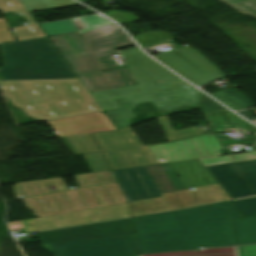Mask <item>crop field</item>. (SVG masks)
<instances>
[{"label":"crop field","mask_w":256,"mask_h":256,"mask_svg":"<svg viewBox=\"0 0 256 256\" xmlns=\"http://www.w3.org/2000/svg\"><path fill=\"white\" fill-rule=\"evenodd\" d=\"M230 202L134 218L139 254L236 245Z\"/></svg>","instance_id":"1"},{"label":"crop field","mask_w":256,"mask_h":256,"mask_svg":"<svg viewBox=\"0 0 256 256\" xmlns=\"http://www.w3.org/2000/svg\"><path fill=\"white\" fill-rule=\"evenodd\" d=\"M80 34L85 41L78 32L51 36L50 39L90 92L137 83L129 69L100 71L120 67L109 55L118 53L119 48L134 45L116 24Z\"/></svg>","instance_id":"2"},{"label":"crop field","mask_w":256,"mask_h":256,"mask_svg":"<svg viewBox=\"0 0 256 256\" xmlns=\"http://www.w3.org/2000/svg\"><path fill=\"white\" fill-rule=\"evenodd\" d=\"M15 107L40 121L102 111L78 79L0 81Z\"/></svg>","instance_id":"3"},{"label":"crop field","mask_w":256,"mask_h":256,"mask_svg":"<svg viewBox=\"0 0 256 256\" xmlns=\"http://www.w3.org/2000/svg\"><path fill=\"white\" fill-rule=\"evenodd\" d=\"M54 256H121L137 254L130 219L37 234Z\"/></svg>","instance_id":"4"},{"label":"crop field","mask_w":256,"mask_h":256,"mask_svg":"<svg viewBox=\"0 0 256 256\" xmlns=\"http://www.w3.org/2000/svg\"><path fill=\"white\" fill-rule=\"evenodd\" d=\"M15 41L0 18V80L77 78L48 38Z\"/></svg>","instance_id":"5"},{"label":"crop field","mask_w":256,"mask_h":256,"mask_svg":"<svg viewBox=\"0 0 256 256\" xmlns=\"http://www.w3.org/2000/svg\"><path fill=\"white\" fill-rule=\"evenodd\" d=\"M112 170L156 164L149 147H144L130 127L93 134ZM72 155L82 153L92 172L109 170L91 134L60 138Z\"/></svg>","instance_id":"6"},{"label":"crop field","mask_w":256,"mask_h":256,"mask_svg":"<svg viewBox=\"0 0 256 256\" xmlns=\"http://www.w3.org/2000/svg\"><path fill=\"white\" fill-rule=\"evenodd\" d=\"M147 168L163 197L130 203L133 216L197 205L190 189H185L176 176L171 163L151 165ZM195 188L193 192L201 205L230 199L219 184Z\"/></svg>","instance_id":"7"},{"label":"crop field","mask_w":256,"mask_h":256,"mask_svg":"<svg viewBox=\"0 0 256 256\" xmlns=\"http://www.w3.org/2000/svg\"><path fill=\"white\" fill-rule=\"evenodd\" d=\"M121 52L138 85L92 92L93 97L104 110L119 107L112 100L114 97L158 91L187 84L150 59L137 47Z\"/></svg>","instance_id":"8"},{"label":"crop field","mask_w":256,"mask_h":256,"mask_svg":"<svg viewBox=\"0 0 256 256\" xmlns=\"http://www.w3.org/2000/svg\"><path fill=\"white\" fill-rule=\"evenodd\" d=\"M172 37L173 36L167 32L159 31L135 36L134 38L144 48L160 43L172 45ZM172 47L174 48L173 50L167 51L162 55H156L155 57L197 86H201L219 77H224V75L196 49L190 46L181 48L175 45Z\"/></svg>","instance_id":"9"},{"label":"crop field","mask_w":256,"mask_h":256,"mask_svg":"<svg viewBox=\"0 0 256 256\" xmlns=\"http://www.w3.org/2000/svg\"><path fill=\"white\" fill-rule=\"evenodd\" d=\"M149 147L157 164L198 158L206 167L256 158V152L217 157L222 148L215 135H201L170 144Z\"/></svg>","instance_id":"10"},{"label":"crop field","mask_w":256,"mask_h":256,"mask_svg":"<svg viewBox=\"0 0 256 256\" xmlns=\"http://www.w3.org/2000/svg\"><path fill=\"white\" fill-rule=\"evenodd\" d=\"M200 92L186 85L164 91L146 93L134 96L114 98L121 107L107 110L106 113L118 129L128 127L129 118L135 117L131 110L138 104L150 101L161 115L177 110L195 108L199 106Z\"/></svg>","instance_id":"11"},{"label":"crop field","mask_w":256,"mask_h":256,"mask_svg":"<svg viewBox=\"0 0 256 256\" xmlns=\"http://www.w3.org/2000/svg\"><path fill=\"white\" fill-rule=\"evenodd\" d=\"M128 203L100 207L40 218H34L19 222L8 223L11 229L23 228L25 233L33 231H45L82 224L102 222L129 217ZM32 226H29V225Z\"/></svg>","instance_id":"12"},{"label":"crop field","mask_w":256,"mask_h":256,"mask_svg":"<svg viewBox=\"0 0 256 256\" xmlns=\"http://www.w3.org/2000/svg\"><path fill=\"white\" fill-rule=\"evenodd\" d=\"M130 202L162 196L146 166L113 171Z\"/></svg>","instance_id":"13"},{"label":"crop field","mask_w":256,"mask_h":256,"mask_svg":"<svg viewBox=\"0 0 256 256\" xmlns=\"http://www.w3.org/2000/svg\"><path fill=\"white\" fill-rule=\"evenodd\" d=\"M58 137L116 129L103 112L46 121Z\"/></svg>","instance_id":"14"},{"label":"crop field","mask_w":256,"mask_h":256,"mask_svg":"<svg viewBox=\"0 0 256 256\" xmlns=\"http://www.w3.org/2000/svg\"><path fill=\"white\" fill-rule=\"evenodd\" d=\"M213 178L224 188L231 199L253 195L247 182L240 176L234 163L206 167Z\"/></svg>","instance_id":"15"},{"label":"crop field","mask_w":256,"mask_h":256,"mask_svg":"<svg viewBox=\"0 0 256 256\" xmlns=\"http://www.w3.org/2000/svg\"><path fill=\"white\" fill-rule=\"evenodd\" d=\"M0 9L3 13L13 11L22 14L30 23L27 26L12 28L18 40L45 36L19 0H0Z\"/></svg>","instance_id":"16"},{"label":"crop field","mask_w":256,"mask_h":256,"mask_svg":"<svg viewBox=\"0 0 256 256\" xmlns=\"http://www.w3.org/2000/svg\"><path fill=\"white\" fill-rule=\"evenodd\" d=\"M79 19L87 30L113 23L101 15L80 17ZM41 26L48 36L77 31L71 19L42 23Z\"/></svg>","instance_id":"17"},{"label":"crop field","mask_w":256,"mask_h":256,"mask_svg":"<svg viewBox=\"0 0 256 256\" xmlns=\"http://www.w3.org/2000/svg\"><path fill=\"white\" fill-rule=\"evenodd\" d=\"M239 245L256 243V216L235 219Z\"/></svg>","instance_id":"18"},{"label":"crop field","mask_w":256,"mask_h":256,"mask_svg":"<svg viewBox=\"0 0 256 256\" xmlns=\"http://www.w3.org/2000/svg\"><path fill=\"white\" fill-rule=\"evenodd\" d=\"M139 256H238L237 247L201 250L172 252V253H158V254H144Z\"/></svg>","instance_id":"19"},{"label":"crop field","mask_w":256,"mask_h":256,"mask_svg":"<svg viewBox=\"0 0 256 256\" xmlns=\"http://www.w3.org/2000/svg\"><path fill=\"white\" fill-rule=\"evenodd\" d=\"M211 95L235 110L255 106L251 100L243 97L231 89L220 91Z\"/></svg>","instance_id":"20"},{"label":"crop field","mask_w":256,"mask_h":256,"mask_svg":"<svg viewBox=\"0 0 256 256\" xmlns=\"http://www.w3.org/2000/svg\"><path fill=\"white\" fill-rule=\"evenodd\" d=\"M157 120H158L161 128L163 129L168 141L195 135V134H200L197 127L174 131L171 124L169 123L166 115L157 117Z\"/></svg>","instance_id":"21"},{"label":"crop field","mask_w":256,"mask_h":256,"mask_svg":"<svg viewBox=\"0 0 256 256\" xmlns=\"http://www.w3.org/2000/svg\"><path fill=\"white\" fill-rule=\"evenodd\" d=\"M241 176L248 181L256 195V160L236 163Z\"/></svg>","instance_id":"22"},{"label":"crop field","mask_w":256,"mask_h":256,"mask_svg":"<svg viewBox=\"0 0 256 256\" xmlns=\"http://www.w3.org/2000/svg\"><path fill=\"white\" fill-rule=\"evenodd\" d=\"M28 10H39L43 8L74 4L71 0H22Z\"/></svg>","instance_id":"23"},{"label":"crop field","mask_w":256,"mask_h":256,"mask_svg":"<svg viewBox=\"0 0 256 256\" xmlns=\"http://www.w3.org/2000/svg\"><path fill=\"white\" fill-rule=\"evenodd\" d=\"M232 203L243 213L244 216L256 214V197L239 199Z\"/></svg>","instance_id":"24"},{"label":"crop field","mask_w":256,"mask_h":256,"mask_svg":"<svg viewBox=\"0 0 256 256\" xmlns=\"http://www.w3.org/2000/svg\"><path fill=\"white\" fill-rule=\"evenodd\" d=\"M233 6L245 11L250 15L256 16V0H245L239 3L232 4Z\"/></svg>","instance_id":"25"},{"label":"crop field","mask_w":256,"mask_h":256,"mask_svg":"<svg viewBox=\"0 0 256 256\" xmlns=\"http://www.w3.org/2000/svg\"><path fill=\"white\" fill-rule=\"evenodd\" d=\"M106 15L111 17L112 19L116 20L117 22L138 20L137 17H135L127 12L112 11V12L106 13Z\"/></svg>","instance_id":"26"},{"label":"crop field","mask_w":256,"mask_h":256,"mask_svg":"<svg viewBox=\"0 0 256 256\" xmlns=\"http://www.w3.org/2000/svg\"><path fill=\"white\" fill-rule=\"evenodd\" d=\"M241 256H256V246L239 247Z\"/></svg>","instance_id":"27"},{"label":"crop field","mask_w":256,"mask_h":256,"mask_svg":"<svg viewBox=\"0 0 256 256\" xmlns=\"http://www.w3.org/2000/svg\"><path fill=\"white\" fill-rule=\"evenodd\" d=\"M242 114L244 117H246L248 120L256 123V118H253L247 111L239 112Z\"/></svg>","instance_id":"28"},{"label":"crop field","mask_w":256,"mask_h":256,"mask_svg":"<svg viewBox=\"0 0 256 256\" xmlns=\"http://www.w3.org/2000/svg\"><path fill=\"white\" fill-rule=\"evenodd\" d=\"M225 1L232 4V3L239 2V1H242V0H225Z\"/></svg>","instance_id":"29"},{"label":"crop field","mask_w":256,"mask_h":256,"mask_svg":"<svg viewBox=\"0 0 256 256\" xmlns=\"http://www.w3.org/2000/svg\"><path fill=\"white\" fill-rule=\"evenodd\" d=\"M80 1L85 2V0H80Z\"/></svg>","instance_id":"30"},{"label":"crop field","mask_w":256,"mask_h":256,"mask_svg":"<svg viewBox=\"0 0 256 256\" xmlns=\"http://www.w3.org/2000/svg\"><path fill=\"white\" fill-rule=\"evenodd\" d=\"M132 256H137V255H132Z\"/></svg>","instance_id":"31"}]
</instances>
